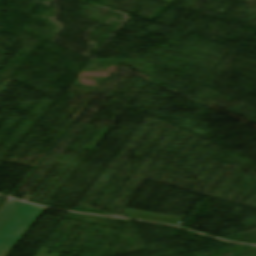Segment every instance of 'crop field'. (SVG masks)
I'll use <instances>...</instances> for the list:
<instances>
[{"instance_id": "crop-field-1", "label": "crop field", "mask_w": 256, "mask_h": 256, "mask_svg": "<svg viewBox=\"0 0 256 256\" xmlns=\"http://www.w3.org/2000/svg\"><path fill=\"white\" fill-rule=\"evenodd\" d=\"M44 208L23 203L0 231V256H7Z\"/></svg>"}, {"instance_id": "crop-field-2", "label": "crop field", "mask_w": 256, "mask_h": 256, "mask_svg": "<svg viewBox=\"0 0 256 256\" xmlns=\"http://www.w3.org/2000/svg\"><path fill=\"white\" fill-rule=\"evenodd\" d=\"M125 211L128 217H131V218L157 221V222H163V223H169V224H175V225H179L183 219L179 217H171V216H165V215H159V214H153V213H147V212H141V211H135V210H129V209H126Z\"/></svg>"}, {"instance_id": "crop-field-3", "label": "crop field", "mask_w": 256, "mask_h": 256, "mask_svg": "<svg viewBox=\"0 0 256 256\" xmlns=\"http://www.w3.org/2000/svg\"><path fill=\"white\" fill-rule=\"evenodd\" d=\"M22 202L15 201L10 199V201L6 204V206L0 212V230L7 223L10 217L15 213L18 209L19 205Z\"/></svg>"}]
</instances>
